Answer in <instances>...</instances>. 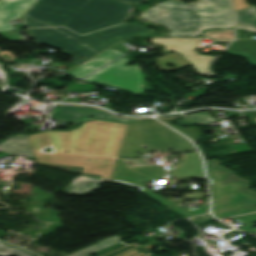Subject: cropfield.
<instances>
[{
	"label": "crop field",
	"instance_id": "obj_1",
	"mask_svg": "<svg viewBox=\"0 0 256 256\" xmlns=\"http://www.w3.org/2000/svg\"><path fill=\"white\" fill-rule=\"evenodd\" d=\"M126 129L127 124L90 120L66 133L48 131L27 137L38 163L83 166L82 172L110 179ZM49 145L53 153L40 152Z\"/></svg>",
	"mask_w": 256,
	"mask_h": 256
},
{
	"label": "crop field",
	"instance_id": "obj_2",
	"mask_svg": "<svg viewBox=\"0 0 256 256\" xmlns=\"http://www.w3.org/2000/svg\"><path fill=\"white\" fill-rule=\"evenodd\" d=\"M131 7L115 0H38L22 17L27 28L65 26L83 35L123 23Z\"/></svg>",
	"mask_w": 256,
	"mask_h": 256
},
{
	"label": "crop field",
	"instance_id": "obj_3",
	"mask_svg": "<svg viewBox=\"0 0 256 256\" xmlns=\"http://www.w3.org/2000/svg\"><path fill=\"white\" fill-rule=\"evenodd\" d=\"M141 18L171 28L169 35L173 36H198L207 28H231L233 24L228 0H165L144 11Z\"/></svg>",
	"mask_w": 256,
	"mask_h": 256
},
{
	"label": "crop field",
	"instance_id": "obj_4",
	"mask_svg": "<svg viewBox=\"0 0 256 256\" xmlns=\"http://www.w3.org/2000/svg\"><path fill=\"white\" fill-rule=\"evenodd\" d=\"M153 29L125 23L80 36L64 27L29 29L34 42L59 48L81 65L119 41L141 35ZM85 56L80 60L78 57Z\"/></svg>",
	"mask_w": 256,
	"mask_h": 256
},
{
	"label": "crop field",
	"instance_id": "obj_5",
	"mask_svg": "<svg viewBox=\"0 0 256 256\" xmlns=\"http://www.w3.org/2000/svg\"><path fill=\"white\" fill-rule=\"evenodd\" d=\"M125 142H128L125 145ZM141 145H146L142 149ZM171 149L173 153L195 149L192 143L161 123L153 120L129 125L120 156L139 157L143 150ZM135 151L138 153L135 154Z\"/></svg>",
	"mask_w": 256,
	"mask_h": 256
},
{
	"label": "crop field",
	"instance_id": "obj_6",
	"mask_svg": "<svg viewBox=\"0 0 256 256\" xmlns=\"http://www.w3.org/2000/svg\"><path fill=\"white\" fill-rule=\"evenodd\" d=\"M126 62H128V58L122 57L102 70L88 76L84 81L126 89L134 94L145 92L139 88L143 84L140 67L123 66Z\"/></svg>",
	"mask_w": 256,
	"mask_h": 256
},
{
	"label": "crop field",
	"instance_id": "obj_7",
	"mask_svg": "<svg viewBox=\"0 0 256 256\" xmlns=\"http://www.w3.org/2000/svg\"><path fill=\"white\" fill-rule=\"evenodd\" d=\"M203 40L202 37L198 38H179V37H170V38H159L156 37L149 42H155L163 44L164 49L173 50L179 52L183 58L191 62L193 68L201 75H212L209 67V62L214 58L212 56H204L195 52L197 45ZM195 50V51H194ZM207 72L208 74H205Z\"/></svg>",
	"mask_w": 256,
	"mask_h": 256
},
{
	"label": "crop field",
	"instance_id": "obj_8",
	"mask_svg": "<svg viewBox=\"0 0 256 256\" xmlns=\"http://www.w3.org/2000/svg\"><path fill=\"white\" fill-rule=\"evenodd\" d=\"M122 161L118 160L112 180L135 185L141 189L145 185L143 181L162 177L165 172L157 165L128 166Z\"/></svg>",
	"mask_w": 256,
	"mask_h": 256
},
{
	"label": "crop field",
	"instance_id": "obj_9",
	"mask_svg": "<svg viewBox=\"0 0 256 256\" xmlns=\"http://www.w3.org/2000/svg\"><path fill=\"white\" fill-rule=\"evenodd\" d=\"M217 163V160L206 162L209 179L211 181L212 195L246 187L245 180L235 176L232 171L224 167L216 166Z\"/></svg>",
	"mask_w": 256,
	"mask_h": 256
},
{
	"label": "crop field",
	"instance_id": "obj_10",
	"mask_svg": "<svg viewBox=\"0 0 256 256\" xmlns=\"http://www.w3.org/2000/svg\"><path fill=\"white\" fill-rule=\"evenodd\" d=\"M89 116L93 118H109L122 122H132L138 121L136 119H126L120 118L109 113L103 112L101 110L85 107V106H61L55 105L51 114V118L75 123L85 119H88Z\"/></svg>",
	"mask_w": 256,
	"mask_h": 256
},
{
	"label": "crop field",
	"instance_id": "obj_11",
	"mask_svg": "<svg viewBox=\"0 0 256 256\" xmlns=\"http://www.w3.org/2000/svg\"><path fill=\"white\" fill-rule=\"evenodd\" d=\"M213 213L250 207L256 205V192L246 189L219 194L212 197Z\"/></svg>",
	"mask_w": 256,
	"mask_h": 256
},
{
	"label": "crop field",
	"instance_id": "obj_12",
	"mask_svg": "<svg viewBox=\"0 0 256 256\" xmlns=\"http://www.w3.org/2000/svg\"><path fill=\"white\" fill-rule=\"evenodd\" d=\"M127 51L129 50L119 42L111 48L101 52L93 59H89L90 61L86 63L84 62L85 64L81 65L80 67L68 72V74L81 78L111 62Z\"/></svg>",
	"mask_w": 256,
	"mask_h": 256
},
{
	"label": "crop field",
	"instance_id": "obj_13",
	"mask_svg": "<svg viewBox=\"0 0 256 256\" xmlns=\"http://www.w3.org/2000/svg\"><path fill=\"white\" fill-rule=\"evenodd\" d=\"M36 0H0V31L16 29L9 21L19 18Z\"/></svg>",
	"mask_w": 256,
	"mask_h": 256
},
{
	"label": "crop field",
	"instance_id": "obj_14",
	"mask_svg": "<svg viewBox=\"0 0 256 256\" xmlns=\"http://www.w3.org/2000/svg\"><path fill=\"white\" fill-rule=\"evenodd\" d=\"M183 162L173 165L174 168L169 171L170 176H191L204 178L201 168L200 157L197 152L181 155Z\"/></svg>",
	"mask_w": 256,
	"mask_h": 256
},
{
	"label": "crop field",
	"instance_id": "obj_15",
	"mask_svg": "<svg viewBox=\"0 0 256 256\" xmlns=\"http://www.w3.org/2000/svg\"><path fill=\"white\" fill-rule=\"evenodd\" d=\"M237 33V40L229 45L227 52L230 54L245 56L249 63L256 65V39H254L249 33L242 31H237ZM242 49L247 51H242Z\"/></svg>",
	"mask_w": 256,
	"mask_h": 256
},
{
	"label": "crop field",
	"instance_id": "obj_16",
	"mask_svg": "<svg viewBox=\"0 0 256 256\" xmlns=\"http://www.w3.org/2000/svg\"><path fill=\"white\" fill-rule=\"evenodd\" d=\"M102 181L103 180L81 175L71 180V184L67 185L62 192L68 194H85L99 187V183Z\"/></svg>",
	"mask_w": 256,
	"mask_h": 256
},
{
	"label": "crop field",
	"instance_id": "obj_17",
	"mask_svg": "<svg viewBox=\"0 0 256 256\" xmlns=\"http://www.w3.org/2000/svg\"><path fill=\"white\" fill-rule=\"evenodd\" d=\"M0 148L18 155L34 157L26 135L13 136L1 143Z\"/></svg>",
	"mask_w": 256,
	"mask_h": 256
},
{
	"label": "crop field",
	"instance_id": "obj_18",
	"mask_svg": "<svg viewBox=\"0 0 256 256\" xmlns=\"http://www.w3.org/2000/svg\"><path fill=\"white\" fill-rule=\"evenodd\" d=\"M118 243H116V244H114L112 246H109V247H107L105 249H102V250H99L97 252H94V253L97 254V256H130V255H132V256H139V255L143 254V253L137 254L138 251H136L134 249V248L140 246L139 244L126 245V244H124L122 242H120L121 244H118ZM117 247H120V248L116 249ZM121 249H123V251H121V252H119V253H117L115 255H112L113 253H115V252H117V251H119ZM142 256H153V255H151V254H144Z\"/></svg>",
	"mask_w": 256,
	"mask_h": 256
},
{
	"label": "crop field",
	"instance_id": "obj_19",
	"mask_svg": "<svg viewBox=\"0 0 256 256\" xmlns=\"http://www.w3.org/2000/svg\"><path fill=\"white\" fill-rule=\"evenodd\" d=\"M118 241H119V236L114 235L112 237H109V238H106L104 240H101V241H99L98 243H96V244H94L92 246H89L87 248L81 249L79 251H76V252L71 253V254L66 255V256H84V255L89 254L91 252H94V251H97L99 249L105 248V247H107V246H109L111 244H114V243L118 242ZM3 242L8 244V245L15 246V245L7 243L4 240H3ZM15 247H17V246H15ZM21 249H23V248H21ZM23 250H25V249H23ZM25 251H27V250H25ZM27 252H29V253H31V254H33L35 256H43V255H39V254H34V253L30 252V251H27Z\"/></svg>",
	"mask_w": 256,
	"mask_h": 256
},
{
	"label": "crop field",
	"instance_id": "obj_20",
	"mask_svg": "<svg viewBox=\"0 0 256 256\" xmlns=\"http://www.w3.org/2000/svg\"><path fill=\"white\" fill-rule=\"evenodd\" d=\"M237 28L256 32V10L235 12Z\"/></svg>",
	"mask_w": 256,
	"mask_h": 256
},
{
	"label": "crop field",
	"instance_id": "obj_21",
	"mask_svg": "<svg viewBox=\"0 0 256 256\" xmlns=\"http://www.w3.org/2000/svg\"><path fill=\"white\" fill-rule=\"evenodd\" d=\"M156 61L160 65V67L162 69L166 70V71L176 69V68H179V67L186 66V65L190 64L185 59H183L178 53H173V54H170V55L160 57V58L156 59ZM167 62L173 64L175 67L174 68L167 67L165 65Z\"/></svg>",
	"mask_w": 256,
	"mask_h": 256
},
{
	"label": "crop field",
	"instance_id": "obj_22",
	"mask_svg": "<svg viewBox=\"0 0 256 256\" xmlns=\"http://www.w3.org/2000/svg\"><path fill=\"white\" fill-rule=\"evenodd\" d=\"M201 36H209L216 41L229 42L234 34L232 30H212L204 32Z\"/></svg>",
	"mask_w": 256,
	"mask_h": 256
},
{
	"label": "crop field",
	"instance_id": "obj_23",
	"mask_svg": "<svg viewBox=\"0 0 256 256\" xmlns=\"http://www.w3.org/2000/svg\"><path fill=\"white\" fill-rule=\"evenodd\" d=\"M234 219L244 225L243 227H241L239 229L246 231V232H252V233L256 232V231L250 229L252 227V223L256 222V213L239 216V217H234Z\"/></svg>",
	"mask_w": 256,
	"mask_h": 256
},
{
	"label": "crop field",
	"instance_id": "obj_24",
	"mask_svg": "<svg viewBox=\"0 0 256 256\" xmlns=\"http://www.w3.org/2000/svg\"><path fill=\"white\" fill-rule=\"evenodd\" d=\"M172 210L184 215L185 217H188V216L208 212V203L201 204V207H199V208H194V209H189V210L178 205V206L172 208Z\"/></svg>",
	"mask_w": 256,
	"mask_h": 256
},
{
	"label": "crop field",
	"instance_id": "obj_25",
	"mask_svg": "<svg viewBox=\"0 0 256 256\" xmlns=\"http://www.w3.org/2000/svg\"><path fill=\"white\" fill-rule=\"evenodd\" d=\"M173 118H169V119H160L161 121L165 122L166 124L170 125L168 123L169 120H171ZM171 127L175 128L176 130H178L179 132L183 133L184 135L190 137L191 139H193L194 141L197 139V136L201 135V133L199 132V129L195 128V127H190V128H181V127H177L174 125H170Z\"/></svg>",
	"mask_w": 256,
	"mask_h": 256
},
{
	"label": "crop field",
	"instance_id": "obj_26",
	"mask_svg": "<svg viewBox=\"0 0 256 256\" xmlns=\"http://www.w3.org/2000/svg\"><path fill=\"white\" fill-rule=\"evenodd\" d=\"M10 254L14 256H31L15 247L7 246L0 242V256H8Z\"/></svg>",
	"mask_w": 256,
	"mask_h": 256
},
{
	"label": "crop field",
	"instance_id": "obj_27",
	"mask_svg": "<svg viewBox=\"0 0 256 256\" xmlns=\"http://www.w3.org/2000/svg\"><path fill=\"white\" fill-rule=\"evenodd\" d=\"M141 192L145 193L146 195L150 196L151 198L157 200L158 202L162 203L163 205L169 207L173 204H175V202L163 197V196H160L156 193H153L151 191H148L146 189H142Z\"/></svg>",
	"mask_w": 256,
	"mask_h": 256
},
{
	"label": "crop field",
	"instance_id": "obj_28",
	"mask_svg": "<svg viewBox=\"0 0 256 256\" xmlns=\"http://www.w3.org/2000/svg\"><path fill=\"white\" fill-rule=\"evenodd\" d=\"M251 211H256V206L255 207H250V208H245V209H240V210H235V211H230V212H225V213H221V214H217V218H224V217H228V216H232V215H236V214H240V213H245V212H251Z\"/></svg>",
	"mask_w": 256,
	"mask_h": 256
},
{
	"label": "crop field",
	"instance_id": "obj_29",
	"mask_svg": "<svg viewBox=\"0 0 256 256\" xmlns=\"http://www.w3.org/2000/svg\"><path fill=\"white\" fill-rule=\"evenodd\" d=\"M13 57H14V56H12V55L10 54V52H8V51H5V52L0 51V58H3V59H5V60H7V61H11V59H12Z\"/></svg>",
	"mask_w": 256,
	"mask_h": 256
},
{
	"label": "crop field",
	"instance_id": "obj_30",
	"mask_svg": "<svg viewBox=\"0 0 256 256\" xmlns=\"http://www.w3.org/2000/svg\"><path fill=\"white\" fill-rule=\"evenodd\" d=\"M123 1L131 2V3H138V2H142L143 0H123Z\"/></svg>",
	"mask_w": 256,
	"mask_h": 256
},
{
	"label": "crop field",
	"instance_id": "obj_31",
	"mask_svg": "<svg viewBox=\"0 0 256 256\" xmlns=\"http://www.w3.org/2000/svg\"><path fill=\"white\" fill-rule=\"evenodd\" d=\"M86 256H89V255H86Z\"/></svg>",
	"mask_w": 256,
	"mask_h": 256
}]
</instances>
